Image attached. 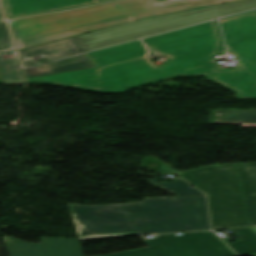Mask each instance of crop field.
Instances as JSON below:
<instances>
[{"label": "crop field", "instance_id": "1", "mask_svg": "<svg viewBox=\"0 0 256 256\" xmlns=\"http://www.w3.org/2000/svg\"><path fill=\"white\" fill-rule=\"evenodd\" d=\"M227 50L238 68L218 70L214 55L226 54L216 21L142 40L169 63L156 66L154 53L139 40L86 53L96 68L28 79L103 93L177 77L204 75L237 93L256 99V11L220 20Z\"/></svg>", "mask_w": 256, "mask_h": 256}, {"label": "crop field", "instance_id": "2", "mask_svg": "<svg viewBox=\"0 0 256 256\" xmlns=\"http://www.w3.org/2000/svg\"><path fill=\"white\" fill-rule=\"evenodd\" d=\"M159 205L157 198L111 205L68 204L79 240L210 229L205 196Z\"/></svg>", "mask_w": 256, "mask_h": 256}, {"label": "crop field", "instance_id": "3", "mask_svg": "<svg viewBox=\"0 0 256 256\" xmlns=\"http://www.w3.org/2000/svg\"><path fill=\"white\" fill-rule=\"evenodd\" d=\"M159 1V0H158ZM123 0L10 20L17 49L115 26L141 18L235 0Z\"/></svg>", "mask_w": 256, "mask_h": 256}, {"label": "crop field", "instance_id": "4", "mask_svg": "<svg viewBox=\"0 0 256 256\" xmlns=\"http://www.w3.org/2000/svg\"><path fill=\"white\" fill-rule=\"evenodd\" d=\"M177 175L208 195L212 228L256 225V163L219 164Z\"/></svg>", "mask_w": 256, "mask_h": 256}, {"label": "crop field", "instance_id": "5", "mask_svg": "<svg viewBox=\"0 0 256 256\" xmlns=\"http://www.w3.org/2000/svg\"><path fill=\"white\" fill-rule=\"evenodd\" d=\"M254 8H256V0L233 2L210 8L158 16L74 37L73 39L82 51L86 52Z\"/></svg>", "mask_w": 256, "mask_h": 256}, {"label": "crop field", "instance_id": "6", "mask_svg": "<svg viewBox=\"0 0 256 256\" xmlns=\"http://www.w3.org/2000/svg\"><path fill=\"white\" fill-rule=\"evenodd\" d=\"M145 243L149 247L100 256H237L210 231L158 235Z\"/></svg>", "mask_w": 256, "mask_h": 256}, {"label": "crop field", "instance_id": "7", "mask_svg": "<svg viewBox=\"0 0 256 256\" xmlns=\"http://www.w3.org/2000/svg\"><path fill=\"white\" fill-rule=\"evenodd\" d=\"M11 256H83L78 239L40 238L39 244H28L3 237Z\"/></svg>", "mask_w": 256, "mask_h": 256}, {"label": "crop field", "instance_id": "8", "mask_svg": "<svg viewBox=\"0 0 256 256\" xmlns=\"http://www.w3.org/2000/svg\"><path fill=\"white\" fill-rule=\"evenodd\" d=\"M7 18L67 10L116 0H2Z\"/></svg>", "mask_w": 256, "mask_h": 256}, {"label": "crop field", "instance_id": "9", "mask_svg": "<svg viewBox=\"0 0 256 256\" xmlns=\"http://www.w3.org/2000/svg\"><path fill=\"white\" fill-rule=\"evenodd\" d=\"M24 67L34 66L31 58L44 55L50 61L83 53L72 38L21 50Z\"/></svg>", "mask_w": 256, "mask_h": 256}, {"label": "crop field", "instance_id": "10", "mask_svg": "<svg viewBox=\"0 0 256 256\" xmlns=\"http://www.w3.org/2000/svg\"><path fill=\"white\" fill-rule=\"evenodd\" d=\"M92 63L86 58L84 54L50 62L40 66H36V76H45L51 74H57L62 72H68L73 70L92 68Z\"/></svg>", "mask_w": 256, "mask_h": 256}, {"label": "crop field", "instance_id": "11", "mask_svg": "<svg viewBox=\"0 0 256 256\" xmlns=\"http://www.w3.org/2000/svg\"><path fill=\"white\" fill-rule=\"evenodd\" d=\"M209 124H241V127H256V111H211Z\"/></svg>", "mask_w": 256, "mask_h": 256}, {"label": "crop field", "instance_id": "12", "mask_svg": "<svg viewBox=\"0 0 256 256\" xmlns=\"http://www.w3.org/2000/svg\"><path fill=\"white\" fill-rule=\"evenodd\" d=\"M241 241L228 245L240 256L256 253V234L250 228L230 229Z\"/></svg>", "mask_w": 256, "mask_h": 256}, {"label": "crop field", "instance_id": "13", "mask_svg": "<svg viewBox=\"0 0 256 256\" xmlns=\"http://www.w3.org/2000/svg\"><path fill=\"white\" fill-rule=\"evenodd\" d=\"M148 183L163 189L175 196H193V195H204L195 188H190V185L187 184L182 179H173L172 182L160 183L158 178L148 179Z\"/></svg>", "mask_w": 256, "mask_h": 256}, {"label": "crop field", "instance_id": "14", "mask_svg": "<svg viewBox=\"0 0 256 256\" xmlns=\"http://www.w3.org/2000/svg\"><path fill=\"white\" fill-rule=\"evenodd\" d=\"M0 69L6 83L25 82L16 54L0 56Z\"/></svg>", "mask_w": 256, "mask_h": 256}, {"label": "crop field", "instance_id": "15", "mask_svg": "<svg viewBox=\"0 0 256 256\" xmlns=\"http://www.w3.org/2000/svg\"><path fill=\"white\" fill-rule=\"evenodd\" d=\"M14 50L5 18L0 8V52Z\"/></svg>", "mask_w": 256, "mask_h": 256}, {"label": "crop field", "instance_id": "16", "mask_svg": "<svg viewBox=\"0 0 256 256\" xmlns=\"http://www.w3.org/2000/svg\"><path fill=\"white\" fill-rule=\"evenodd\" d=\"M160 204L182 202L181 197L158 198Z\"/></svg>", "mask_w": 256, "mask_h": 256}, {"label": "crop field", "instance_id": "17", "mask_svg": "<svg viewBox=\"0 0 256 256\" xmlns=\"http://www.w3.org/2000/svg\"><path fill=\"white\" fill-rule=\"evenodd\" d=\"M25 72H26L27 78L36 77L35 72H34V68L25 69Z\"/></svg>", "mask_w": 256, "mask_h": 256}, {"label": "crop field", "instance_id": "18", "mask_svg": "<svg viewBox=\"0 0 256 256\" xmlns=\"http://www.w3.org/2000/svg\"><path fill=\"white\" fill-rule=\"evenodd\" d=\"M256 231V227H252Z\"/></svg>", "mask_w": 256, "mask_h": 256}]
</instances>
